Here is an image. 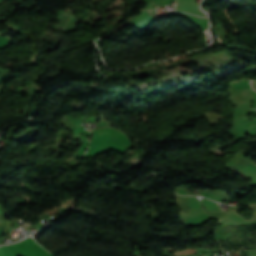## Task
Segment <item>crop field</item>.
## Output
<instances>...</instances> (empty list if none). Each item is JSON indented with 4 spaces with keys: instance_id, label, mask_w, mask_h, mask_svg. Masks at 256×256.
<instances>
[{
    "instance_id": "crop-field-1",
    "label": "crop field",
    "mask_w": 256,
    "mask_h": 256,
    "mask_svg": "<svg viewBox=\"0 0 256 256\" xmlns=\"http://www.w3.org/2000/svg\"><path fill=\"white\" fill-rule=\"evenodd\" d=\"M252 87L256 89V81H252L251 83Z\"/></svg>"
},
{
    "instance_id": "crop-field-2",
    "label": "crop field",
    "mask_w": 256,
    "mask_h": 256,
    "mask_svg": "<svg viewBox=\"0 0 256 256\" xmlns=\"http://www.w3.org/2000/svg\"><path fill=\"white\" fill-rule=\"evenodd\" d=\"M0 256H5L3 251H2V247L0 246Z\"/></svg>"
}]
</instances>
